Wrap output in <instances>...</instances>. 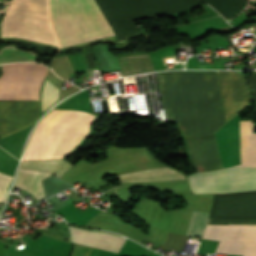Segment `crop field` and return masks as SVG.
Segmentation results:
<instances>
[{"instance_id":"14","label":"crop field","mask_w":256,"mask_h":256,"mask_svg":"<svg viewBox=\"0 0 256 256\" xmlns=\"http://www.w3.org/2000/svg\"><path fill=\"white\" fill-rule=\"evenodd\" d=\"M59 89H57L52 83L46 80L42 90L41 96V108L42 111L48 108L57 99Z\"/></svg>"},{"instance_id":"13","label":"crop field","mask_w":256,"mask_h":256,"mask_svg":"<svg viewBox=\"0 0 256 256\" xmlns=\"http://www.w3.org/2000/svg\"><path fill=\"white\" fill-rule=\"evenodd\" d=\"M207 216L206 213L193 211L186 235L200 238L204 229L202 224L206 223Z\"/></svg>"},{"instance_id":"1","label":"crop field","mask_w":256,"mask_h":256,"mask_svg":"<svg viewBox=\"0 0 256 256\" xmlns=\"http://www.w3.org/2000/svg\"><path fill=\"white\" fill-rule=\"evenodd\" d=\"M47 68L35 63L2 65L0 101L38 102ZM38 103L0 102V138L35 123Z\"/></svg>"},{"instance_id":"11","label":"crop field","mask_w":256,"mask_h":256,"mask_svg":"<svg viewBox=\"0 0 256 256\" xmlns=\"http://www.w3.org/2000/svg\"><path fill=\"white\" fill-rule=\"evenodd\" d=\"M214 7L226 20L240 12L247 0H203Z\"/></svg>"},{"instance_id":"2","label":"crop field","mask_w":256,"mask_h":256,"mask_svg":"<svg viewBox=\"0 0 256 256\" xmlns=\"http://www.w3.org/2000/svg\"><path fill=\"white\" fill-rule=\"evenodd\" d=\"M252 121H240L241 165L256 168V134H251ZM225 168L188 176L195 194L229 193L256 190V169Z\"/></svg>"},{"instance_id":"7","label":"crop field","mask_w":256,"mask_h":256,"mask_svg":"<svg viewBox=\"0 0 256 256\" xmlns=\"http://www.w3.org/2000/svg\"><path fill=\"white\" fill-rule=\"evenodd\" d=\"M118 178L120 183L186 179L183 174L168 167L122 174Z\"/></svg>"},{"instance_id":"3","label":"crop field","mask_w":256,"mask_h":256,"mask_svg":"<svg viewBox=\"0 0 256 256\" xmlns=\"http://www.w3.org/2000/svg\"><path fill=\"white\" fill-rule=\"evenodd\" d=\"M69 0H51V10ZM61 48L114 35L94 0H71L52 11Z\"/></svg>"},{"instance_id":"10","label":"crop field","mask_w":256,"mask_h":256,"mask_svg":"<svg viewBox=\"0 0 256 256\" xmlns=\"http://www.w3.org/2000/svg\"><path fill=\"white\" fill-rule=\"evenodd\" d=\"M72 165L63 160H42V161H22L19 168H29L39 171L51 172L61 176Z\"/></svg>"},{"instance_id":"9","label":"crop field","mask_w":256,"mask_h":256,"mask_svg":"<svg viewBox=\"0 0 256 256\" xmlns=\"http://www.w3.org/2000/svg\"><path fill=\"white\" fill-rule=\"evenodd\" d=\"M122 75L155 70L147 54H133L118 57Z\"/></svg>"},{"instance_id":"12","label":"crop field","mask_w":256,"mask_h":256,"mask_svg":"<svg viewBox=\"0 0 256 256\" xmlns=\"http://www.w3.org/2000/svg\"><path fill=\"white\" fill-rule=\"evenodd\" d=\"M36 54L16 49L15 45L0 49V64L16 61H35Z\"/></svg>"},{"instance_id":"8","label":"crop field","mask_w":256,"mask_h":256,"mask_svg":"<svg viewBox=\"0 0 256 256\" xmlns=\"http://www.w3.org/2000/svg\"><path fill=\"white\" fill-rule=\"evenodd\" d=\"M50 175L45 172L19 170L14 185L31 193L39 200L45 197L41 180Z\"/></svg>"},{"instance_id":"6","label":"crop field","mask_w":256,"mask_h":256,"mask_svg":"<svg viewBox=\"0 0 256 256\" xmlns=\"http://www.w3.org/2000/svg\"><path fill=\"white\" fill-rule=\"evenodd\" d=\"M69 227L71 242H76L112 252L118 253L125 239L110 233L88 231L84 229Z\"/></svg>"},{"instance_id":"4","label":"crop field","mask_w":256,"mask_h":256,"mask_svg":"<svg viewBox=\"0 0 256 256\" xmlns=\"http://www.w3.org/2000/svg\"><path fill=\"white\" fill-rule=\"evenodd\" d=\"M118 43L140 35L131 20L188 11L198 0H96Z\"/></svg>"},{"instance_id":"5","label":"crop field","mask_w":256,"mask_h":256,"mask_svg":"<svg viewBox=\"0 0 256 256\" xmlns=\"http://www.w3.org/2000/svg\"><path fill=\"white\" fill-rule=\"evenodd\" d=\"M202 238L220 240L214 253L256 256V228L206 227Z\"/></svg>"},{"instance_id":"15","label":"crop field","mask_w":256,"mask_h":256,"mask_svg":"<svg viewBox=\"0 0 256 256\" xmlns=\"http://www.w3.org/2000/svg\"><path fill=\"white\" fill-rule=\"evenodd\" d=\"M188 239L187 236L176 235L168 233L162 247L182 249L185 241Z\"/></svg>"}]
</instances>
